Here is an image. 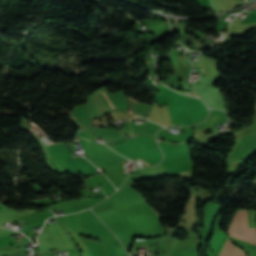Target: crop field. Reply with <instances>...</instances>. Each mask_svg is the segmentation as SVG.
Instances as JSON below:
<instances>
[{
	"label": "crop field",
	"mask_w": 256,
	"mask_h": 256,
	"mask_svg": "<svg viewBox=\"0 0 256 256\" xmlns=\"http://www.w3.org/2000/svg\"><path fill=\"white\" fill-rule=\"evenodd\" d=\"M102 94H103V96L105 97V99L107 100V102L109 103V105L111 106V108L114 109L113 106L111 105V103L108 101V99H107L106 96L104 95V93H102Z\"/></svg>",
	"instance_id": "obj_4"
},
{
	"label": "crop field",
	"mask_w": 256,
	"mask_h": 256,
	"mask_svg": "<svg viewBox=\"0 0 256 256\" xmlns=\"http://www.w3.org/2000/svg\"><path fill=\"white\" fill-rule=\"evenodd\" d=\"M101 244H102V248L104 251V256H109V249H108L107 245L104 243H101Z\"/></svg>",
	"instance_id": "obj_3"
},
{
	"label": "crop field",
	"mask_w": 256,
	"mask_h": 256,
	"mask_svg": "<svg viewBox=\"0 0 256 256\" xmlns=\"http://www.w3.org/2000/svg\"><path fill=\"white\" fill-rule=\"evenodd\" d=\"M220 256H246L241 250L231 245L229 239Z\"/></svg>",
	"instance_id": "obj_2"
},
{
	"label": "crop field",
	"mask_w": 256,
	"mask_h": 256,
	"mask_svg": "<svg viewBox=\"0 0 256 256\" xmlns=\"http://www.w3.org/2000/svg\"><path fill=\"white\" fill-rule=\"evenodd\" d=\"M235 234H239L242 236L247 237L245 239V237L239 236V235H235ZM229 234L232 237H236L239 239H242L247 242L253 243L256 245V229L255 228H248V223H247V211H243V210H238L237 214L235 215L231 226L229 228Z\"/></svg>",
	"instance_id": "obj_1"
}]
</instances>
